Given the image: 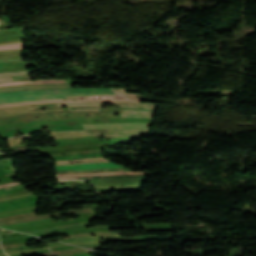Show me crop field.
I'll return each mask as SVG.
<instances>
[{"label":"crop field","instance_id":"8a807250","mask_svg":"<svg viewBox=\"0 0 256 256\" xmlns=\"http://www.w3.org/2000/svg\"><path fill=\"white\" fill-rule=\"evenodd\" d=\"M62 99H125L115 88L23 90L0 93V104Z\"/></svg>","mask_w":256,"mask_h":256},{"label":"crop field","instance_id":"ac0d7876","mask_svg":"<svg viewBox=\"0 0 256 256\" xmlns=\"http://www.w3.org/2000/svg\"><path fill=\"white\" fill-rule=\"evenodd\" d=\"M99 103H111L121 106V110H112V111H121L122 117H148L150 118L151 112L155 108L156 104H148V103H131V102H89V103H56V104H39L34 108L43 107L44 109H56L60 108L62 105L66 106H100ZM72 111H87V112H110V111H94V110H68ZM53 113H61V112H51V113H29V114H53ZM29 114H21V115H12V116H4L0 118L7 117H15Z\"/></svg>","mask_w":256,"mask_h":256},{"label":"crop field","instance_id":"34b2d1b8","mask_svg":"<svg viewBox=\"0 0 256 256\" xmlns=\"http://www.w3.org/2000/svg\"><path fill=\"white\" fill-rule=\"evenodd\" d=\"M149 123H112V124H95L83 125L84 129H125V128H144Z\"/></svg>","mask_w":256,"mask_h":256},{"label":"crop field","instance_id":"412701ff","mask_svg":"<svg viewBox=\"0 0 256 256\" xmlns=\"http://www.w3.org/2000/svg\"><path fill=\"white\" fill-rule=\"evenodd\" d=\"M89 133H112L119 135H136L146 133L147 128L144 129H128V130H82Z\"/></svg>","mask_w":256,"mask_h":256},{"label":"crop field","instance_id":"f4fd0767","mask_svg":"<svg viewBox=\"0 0 256 256\" xmlns=\"http://www.w3.org/2000/svg\"><path fill=\"white\" fill-rule=\"evenodd\" d=\"M82 136H91V135L77 132V131L58 132V133L52 132V138L54 139L74 138V137H82Z\"/></svg>","mask_w":256,"mask_h":256},{"label":"crop field","instance_id":"dd49c442","mask_svg":"<svg viewBox=\"0 0 256 256\" xmlns=\"http://www.w3.org/2000/svg\"><path fill=\"white\" fill-rule=\"evenodd\" d=\"M87 101H132V102H139V100H77V102H87ZM55 102H74V100H71V101H49V102H36V103H25V104L0 105V108H2V107H11V106H19V105H27V104L55 103Z\"/></svg>","mask_w":256,"mask_h":256},{"label":"crop field","instance_id":"e52e79f7","mask_svg":"<svg viewBox=\"0 0 256 256\" xmlns=\"http://www.w3.org/2000/svg\"><path fill=\"white\" fill-rule=\"evenodd\" d=\"M125 174V172H99V173H86V174H59L58 177L66 176H92V175H119Z\"/></svg>","mask_w":256,"mask_h":256},{"label":"crop field","instance_id":"d8731c3e","mask_svg":"<svg viewBox=\"0 0 256 256\" xmlns=\"http://www.w3.org/2000/svg\"><path fill=\"white\" fill-rule=\"evenodd\" d=\"M91 160H104V161H94V162H84V163H95V162H109L103 158H90V159H80V160H73V161H55L56 165H70V164H60V163H70V162H77V161H91ZM78 164V163H74Z\"/></svg>","mask_w":256,"mask_h":256},{"label":"crop field","instance_id":"5a996713","mask_svg":"<svg viewBox=\"0 0 256 256\" xmlns=\"http://www.w3.org/2000/svg\"><path fill=\"white\" fill-rule=\"evenodd\" d=\"M123 171L121 168H108V169H94V170H83V171H57V173H80V172H92V171Z\"/></svg>","mask_w":256,"mask_h":256},{"label":"crop field","instance_id":"3316defc","mask_svg":"<svg viewBox=\"0 0 256 256\" xmlns=\"http://www.w3.org/2000/svg\"><path fill=\"white\" fill-rule=\"evenodd\" d=\"M29 74L28 70H22V71H12V72H0L1 77H8V76H16V75H25Z\"/></svg>","mask_w":256,"mask_h":256},{"label":"crop field","instance_id":"28ad6ade","mask_svg":"<svg viewBox=\"0 0 256 256\" xmlns=\"http://www.w3.org/2000/svg\"><path fill=\"white\" fill-rule=\"evenodd\" d=\"M20 48H22V43L0 45V50H5V49H20Z\"/></svg>","mask_w":256,"mask_h":256},{"label":"crop field","instance_id":"d1516ede","mask_svg":"<svg viewBox=\"0 0 256 256\" xmlns=\"http://www.w3.org/2000/svg\"><path fill=\"white\" fill-rule=\"evenodd\" d=\"M18 184H19V182L7 183V184L0 185V188L7 187V186L18 185Z\"/></svg>","mask_w":256,"mask_h":256},{"label":"crop field","instance_id":"22f410ed","mask_svg":"<svg viewBox=\"0 0 256 256\" xmlns=\"http://www.w3.org/2000/svg\"><path fill=\"white\" fill-rule=\"evenodd\" d=\"M10 80H13L12 77L0 78V82H2V81H10Z\"/></svg>","mask_w":256,"mask_h":256},{"label":"crop field","instance_id":"cbeb9de0","mask_svg":"<svg viewBox=\"0 0 256 256\" xmlns=\"http://www.w3.org/2000/svg\"><path fill=\"white\" fill-rule=\"evenodd\" d=\"M9 164H12V163H8V164H2V165H0V166H3V165H9Z\"/></svg>","mask_w":256,"mask_h":256}]
</instances>
